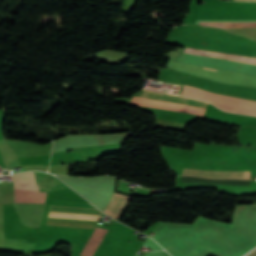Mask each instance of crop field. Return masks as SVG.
Listing matches in <instances>:
<instances>
[{
  "mask_svg": "<svg viewBox=\"0 0 256 256\" xmlns=\"http://www.w3.org/2000/svg\"><path fill=\"white\" fill-rule=\"evenodd\" d=\"M153 233L172 256H242L256 245V205L237 206L232 225L199 216L192 225L161 223Z\"/></svg>",
  "mask_w": 256,
  "mask_h": 256,
  "instance_id": "obj_1",
  "label": "crop field"
},
{
  "mask_svg": "<svg viewBox=\"0 0 256 256\" xmlns=\"http://www.w3.org/2000/svg\"><path fill=\"white\" fill-rule=\"evenodd\" d=\"M40 191L49 192L68 188L56 177L33 172ZM32 172L12 175L14 189L39 191ZM14 190L15 203H44L46 193Z\"/></svg>",
  "mask_w": 256,
  "mask_h": 256,
  "instance_id": "obj_2",
  "label": "crop field"
},
{
  "mask_svg": "<svg viewBox=\"0 0 256 256\" xmlns=\"http://www.w3.org/2000/svg\"><path fill=\"white\" fill-rule=\"evenodd\" d=\"M130 104L204 117L208 116L212 107L196 100L147 91L136 94Z\"/></svg>",
  "mask_w": 256,
  "mask_h": 256,
  "instance_id": "obj_3",
  "label": "crop field"
},
{
  "mask_svg": "<svg viewBox=\"0 0 256 256\" xmlns=\"http://www.w3.org/2000/svg\"><path fill=\"white\" fill-rule=\"evenodd\" d=\"M175 94L194 97L200 100L212 102L219 108L226 111L256 115V101H249L241 98L213 94L198 88L180 84L177 85Z\"/></svg>",
  "mask_w": 256,
  "mask_h": 256,
  "instance_id": "obj_4",
  "label": "crop field"
},
{
  "mask_svg": "<svg viewBox=\"0 0 256 256\" xmlns=\"http://www.w3.org/2000/svg\"><path fill=\"white\" fill-rule=\"evenodd\" d=\"M183 175H194L207 178H238L245 179L244 172H230V171H206V170H193L184 169ZM246 179H250V173L245 172Z\"/></svg>",
  "mask_w": 256,
  "mask_h": 256,
  "instance_id": "obj_5",
  "label": "crop field"
},
{
  "mask_svg": "<svg viewBox=\"0 0 256 256\" xmlns=\"http://www.w3.org/2000/svg\"><path fill=\"white\" fill-rule=\"evenodd\" d=\"M182 52L256 63V58L227 54V53H220V52L204 51V50L193 49V48H188V47H184L182 50H180L178 53H176L173 57H171L170 60L177 61V59L179 58V56L181 55Z\"/></svg>",
  "mask_w": 256,
  "mask_h": 256,
  "instance_id": "obj_6",
  "label": "crop field"
},
{
  "mask_svg": "<svg viewBox=\"0 0 256 256\" xmlns=\"http://www.w3.org/2000/svg\"><path fill=\"white\" fill-rule=\"evenodd\" d=\"M128 199V196L114 193L111 200L104 209V212L114 219L119 220L118 218L120 217L122 211L125 209Z\"/></svg>",
  "mask_w": 256,
  "mask_h": 256,
  "instance_id": "obj_7",
  "label": "crop field"
},
{
  "mask_svg": "<svg viewBox=\"0 0 256 256\" xmlns=\"http://www.w3.org/2000/svg\"><path fill=\"white\" fill-rule=\"evenodd\" d=\"M196 24L220 27V28H240V27H256V22H193Z\"/></svg>",
  "mask_w": 256,
  "mask_h": 256,
  "instance_id": "obj_8",
  "label": "crop field"
},
{
  "mask_svg": "<svg viewBox=\"0 0 256 256\" xmlns=\"http://www.w3.org/2000/svg\"><path fill=\"white\" fill-rule=\"evenodd\" d=\"M48 217L96 221L98 216L49 212Z\"/></svg>",
  "mask_w": 256,
  "mask_h": 256,
  "instance_id": "obj_9",
  "label": "crop field"
},
{
  "mask_svg": "<svg viewBox=\"0 0 256 256\" xmlns=\"http://www.w3.org/2000/svg\"><path fill=\"white\" fill-rule=\"evenodd\" d=\"M247 256H256V250H254L253 252H251L249 255Z\"/></svg>",
  "mask_w": 256,
  "mask_h": 256,
  "instance_id": "obj_10",
  "label": "crop field"
},
{
  "mask_svg": "<svg viewBox=\"0 0 256 256\" xmlns=\"http://www.w3.org/2000/svg\"><path fill=\"white\" fill-rule=\"evenodd\" d=\"M237 1H256V0H237Z\"/></svg>",
  "mask_w": 256,
  "mask_h": 256,
  "instance_id": "obj_11",
  "label": "crop field"
},
{
  "mask_svg": "<svg viewBox=\"0 0 256 256\" xmlns=\"http://www.w3.org/2000/svg\"><path fill=\"white\" fill-rule=\"evenodd\" d=\"M207 69H209V68H207ZM210 70H213V69H210ZM216 71H218V70H216ZM220 72V71H219Z\"/></svg>",
  "mask_w": 256,
  "mask_h": 256,
  "instance_id": "obj_12",
  "label": "crop field"
}]
</instances>
